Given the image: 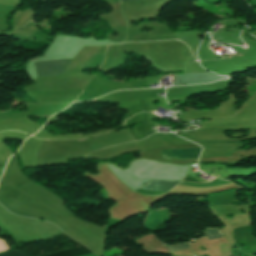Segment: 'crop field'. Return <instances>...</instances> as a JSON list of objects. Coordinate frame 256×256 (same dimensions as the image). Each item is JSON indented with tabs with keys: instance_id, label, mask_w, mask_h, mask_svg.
<instances>
[{
	"instance_id": "crop-field-3",
	"label": "crop field",
	"mask_w": 256,
	"mask_h": 256,
	"mask_svg": "<svg viewBox=\"0 0 256 256\" xmlns=\"http://www.w3.org/2000/svg\"><path fill=\"white\" fill-rule=\"evenodd\" d=\"M62 235L72 243L73 248L63 250V251H58V252H53L47 256H82L88 253H92L88 248L85 246L75 242L72 240L70 237H68L66 234L62 233Z\"/></svg>"
},
{
	"instance_id": "crop-field-5",
	"label": "crop field",
	"mask_w": 256,
	"mask_h": 256,
	"mask_svg": "<svg viewBox=\"0 0 256 256\" xmlns=\"http://www.w3.org/2000/svg\"><path fill=\"white\" fill-rule=\"evenodd\" d=\"M206 232L204 234L208 238V240L223 237V235L220 233V231L217 228H210L205 229Z\"/></svg>"
},
{
	"instance_id": "crop-field-4",
	"label": "crop field",
	"mask_w": 256,
	"mask_h": 256,
	"mask_svg": "<svg viewBox=\"0 0 256 256\" xmlns=\"http://www.w3.org/2000/svg\"><path fill=\"white\" fill-rule=\"evenodd\" d=\"M177 183L179 182L143 180L139 188L154 191H169Z\"/></svg>"
},
{
	"instance_id": "crop-field-8",
	"label": "crop field",
	"mask_w": 256,
	"mask_h": 256,
	"mask_svg": "<svg viewBox=\"0 0 256 256\" xmlns=\"http://www.w3.org/2000/svg\"><path fill=\"white\" fill-rule=\"evenodd\" d=\"M121 1H125V0H121Z\"/></svg>"
},
{
	"instance_id": "crop-field-2",
	"label": "crop field",
	"mask_w": 256,
	"mask_h": 256,
	"mask_svg": "<svg viewBox=\"0 0 256 256\" xmlns=\"http://www.w3.org/2000/svg\"><path fill=\"white\" fill-rule=\"evenodd\" d=\"M43 140H37L29 137L22 145L21 159L24 167L36 166V154Z\"/></svg>"
},
{
	"instance_id": "crop-field-7",
	"label": "crop field",
	"mask_w": 256,
	"mask_h": 256,
	"mask_svg": "<svg viewBox=\"0 0 256 256\" xmlns=\"http://www.w3.org/2000/svg\"><path fill=\"white\" fill-rule=\"evenodd\" d=\"M186 248H189L187 244L176 245V246L168 247V249H169L170 251L180 250V249H186Z\"/></svg>"
},
{
	"instance_id": "crop-field-1",
	"label": "crop field",
	"mask_w": 256,
	"mask_h": 256,
	"mask_svg": "<svg viewBox=\"0 0 256 256\" xmlns=\"http://www.w3.org/2000/svg\"><path fill=\"white\" fill-rule=\"evenodd\" d=\"M72 58L35 62L37 77L63 74Z\"/></svg>"
},
{
	"instance_id": "crop-field-6",
	"label": "crop field",
	"mask_w": 256,
	"mask_h": 256,
	"mask_svg": "<svg viewBox=\"0 0 256 256\" xmlns=\"http://www.w3.org/2000/svg\"><path fill=\"white\" fill-rule=\"evenodd\" d=\"M0 256H27L17 250H10L4 253H1Z\"/></svg>"
}]
</instances>
